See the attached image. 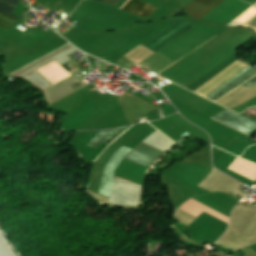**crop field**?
Segmentation results:
<instances>
[{
	"mask_svg": "<svg viewBox=\"0 0 256 256\" xmlns=\"http://www.w3.org/2000/svg\"><path fill=\"white\" fill-rule=\"evenodd\" d=\"M194 27L185 20H176L141 44L156 52Z\"/></svg>",
	"mask_w": 256,
	"mask_h": 256,
	"instance_id": "obj_1",
	"label": "crop field"
},
{
	"mask_svg": "<svg viewBox=\"0 0 256 256\" xmlns=\"http://www.w3.org/2000/svg\"><path fill=\"white\" fill-rule=\"evenodd\" d=\"M213 118H215V119H217V120H219V121H221V122H223V123H225L229 126H232V127L236 128V129H238V130H240V131H242V132H244L248 135L256 129V118L255 117H253V119L251 120V119H249V118H247L243 115L239 116V115H237V114H235V113H233V112H231L227 109L218 113Z\"/></svg>",
	"mask_w": 256,
	"mask_h": 256,
	"instance_id": "obj_2",
	"label": "crop field"
},
{
	"mask_svg": "<svg viewBox=\"0 0 256 256\" xmlns=\"http://www.w3.org/2000/svg\"><path fill=\"white\" fill-rule=\"evenodd\" d=\"M130 151L131 149L123 146L121 149L115 152L114 155L111 157V159L109 160L104 170L102 183H101V190H100L101 194H105L109 196L114 170L118 166L120 161L123 159V157Z\"/></svg>",
	"mask_w": 256,
	"mask_h": 256,
	"instance_id": "obj_3",
	"label": "crop field"
},
{
	"mask_svg": "<svg viewBox=\"0 0 256 256\" xmlns=\"http://www.w3.org/2000/svg\"><path fill=\"white\" fill-rule=\"evenodd\" d=\"M164 152L141 143L134 150H132L126 157L135 159L137 161L152 165Z\"/></svg>",
	"mask_w": 256,
	"mask_h": 256,
	"instance_id": "obj_4",
	"label": "crop field"
},
{
	"mask_svg": "<svg viewBox=\"0 0 256 256\" xmlns=\"http://www.w3.org/2000/svg\"><path fill=\"white\" fill-rule=\"evenodd\" d=\"M254 74H256V68L248 66L243 71H241L239 74H237L232 79H230L228 82H226L224 85H222L220 88H218L216 91H214L212 94H210L207 98H210L212 100H216V99L220 98L222 95L227 93L233 87L240 84L241 82L248 79L249 77H251Z\"/></svg>",
	"mask_w": 256,
	"mask_h": 256,
	"instance_id": "obj_5",
	"label": "crop field"
},
{
	"mask_svg": "<svg viewBox=\"0 0 256 256\" xmlns=\"http://www.w3.org/2000/svg\"><path fill=\"white\" fill-rule=\"evenodd\" d=\"M223 0H194L184 7L185 11L198 19L220 4Z\"/></svg>",
	"mask_w": 256,
	"mask_h": 256,
	"instance_id": "obj_6",
	"label": "crop field"
},
{
	"mask_svg": "<svg viewBox=\"0 0 256 256\" xmlns=\"http://www.w3.org/2000/svg\"><path fill=\"white\" fill-rule=\"evenodd\" d=\"M20 2V0H0V13H2L3 15L7 16L8 18H10L13 21H17L20 18L12 15V11L15 9V7L17 6V4ZM2 14H0V26L1 27H8L11 24L15 23L13 21H11L10 19H8L7 17L3 16Z\"/></svg>",
	"mask_w": 256,
	"mask_h": 256,
	"instance_id": "obj_7",
	"label": "crop field"
},
{
	"mask_svg": "<svg viewBox=\"0 0 256 256\" xmlns=\"http://www.w3.org/2000/svg\"><path fill=\"white\" fill-rule=\"evenodd\" d=\"M129 1L130 0H127L126 3L121 7V9H123ZM155 9L156 7L148 3H145L141 0H131L124 8V10L128 12H131L135 15H139L143 17L149 16Z\"/></svg>",
	"mask_w": 256,
	"mask_h": 256,
	"instance_id": "obj_8",
	"label": "crop field"
},
{
	"mask_svg": "<svg viewBox=\"0 0 256 256\" xmlns=\"http://www.w3.org/2000/svg\"><path fill=\"white\" fill-rule=\"evenodd\" d=\"M130 127L131 126L100 131L98 135L91 141L89 146L97 148L100 146L102 141L110 144L116 137H118L120 134H122Z\"/></svg>",
	"mask_w": 256,
	"mask_h": 256,
	"instance_id": "obj_9",
	"label": "crop field"
},
{
	"mask_svg": "<svg viewBox=\"0 0 256 256\" xmlns=\"http://www.w3.org/2000/svg\"><path fill=\"white\" fill-rule=\"evenodd\" d=\"M244 26L251 27L256 30V16L250 20L248 23H246Z\"/></svg>",
	"mask_w": 256,
	"mask_h": 256,
	"instance_id": "obj_10",
	"label": "crop field"
},
{
	"mask_svg": "<svg viewBox=\"0 0 256 256\" xmlns=\"http://www.w3.org/2000/svg\"><path fill=\"white\" fill-rule=\"evenodd\" d=\"M96 1H98V0H96ZM99 1L115 6L120 0H99Z\"/></svg>",
	"mask_w": 256,
	"mask_h": 256,
	"instance_id": "obj_11",
	"label": "crop field"
},
{
	"mask_svg": "<svg viewBox=\"0 0 256 256\" xmlns=\"http://www.w3.org/2000/svg\"><path fill=\"white\" fill-rule=\"evenodd\" d=\"M256 82V77H254L253 79H251L250 81H248L247 83H245L244 85L245 86H249L251 85L252 83Z\"/></svg>",
	"mask_w": 256,
	"mask_h": 256,
	"instance_id": "obj_12",
	"label": "crop field"
}]
</instances>
